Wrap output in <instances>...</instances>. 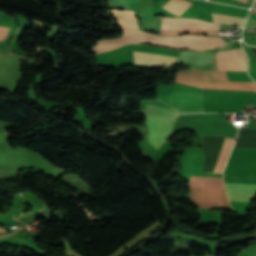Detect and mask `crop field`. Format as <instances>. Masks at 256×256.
<instances>
[{"instance_id": "412701ff", "label": "crop field", "mask_w": 256, "mask_h": 256, "mask_svg": "<svg viewBox=\"0 0 256 256\" xmlns=\"http://www.w3.org/2000/svg\"><path fill=\"white\" fill-rule=\"evenodd\" d=\"M170 106L184 112H203L202 92H179L168 94Z\"/></svg>"}, {"instance_id": "34b2d1b8", "label": "crop field", "mask_w": 256, "mask_h": 256, "mask_svg": "<svg viewBox=\"0 0 256 256\" xmlns=\"http://www.w3.org/2000/svg\"><path fill=\"white\" fill-rule=\"evenodd\" d=\"M134 112L146 115L145 123L149 130L147 140L156 149L160 147L165 142L177 115L158 114L148 111Z\"/></svg>"}, {"instance_id": "e52e79f7", "label": "crop field", "mask_w": 256, "mask_h": 256, "mask_svg": "<svg viewBox=\"0 0 256 256\" xmlns=\"http://www.w3.org/2000/svg\"><path fill=\"white\" fill-rule=\"evenodd\" d=\"M134 57H135V63L157 66V67L173 65L176 59V57L174 56L154 54V53H148V52H139V51H134Z\"/></svg>"}, {"instance_id": "f4fd0767", "label": "crop field", "mask_w": 256, "mask_h": 256, "mask_svg": "<svg viewBox=\"0 0 256 256\" xmlns=\"http://www.w3.org/2000/svg\"><path fill=\"white\" fill-rule=\"evenodd\" d=\"M120 28L123 32V36L120 39L97 41V45L91 50V52L101 53L122 46L124 44L141 43L144 34L143 32L123 26H120Z\"/></svg>"}, {"instance_id": "d8731c3e", "label": "crop field", "mask_w": 256, "mask_h": 256, "mask_svg": "<svg viewBox=\"0 0 256 256\" xmlns=\"http://www.w3.org/2000/svg\"><path fill=\"white\" fill-rule=\"evenodd\" d=\"M230 201H250L256 196V185L225 183Z\"/></svg>"}, {"instance_id": "dd49c442", "label": "crop field", "mask_w": 256, "mask_h": 256, "mask_svg": "<svg viewBox=\"0 0 256 256\" xmlns=\"http://www.w3.org/2000/svg\"><path fill=\"white\" fill-rule=\"evenodd\" d=\"M218 70L246 71L245 56L242 49L217 53ZM215 57V70H217Z\"/></svg>"}, {"instance_id": "d1516ede", "label": "crop field", "mask_w": 256, "mask_h": 256, "mask_svg": "<svg viewBox=\"0 0 256 256\" xmlns=\"http://www.w3.org/2000/svg\"><path fill=\"white\" fill-rule=\"evenodd\" d=\"M213 21L214 22H224V23H230V24H236V25H243L244 18L240 17H234V16H227V15H221V14H215L212 13Z\"/></svg>"}, {"instance_id": "d9b57169", "label": "crop field", "mask_w": 256, "mask_h": 256, "mask_svg": "<svg viewBox=\"0 0 256 256\" xmlns=\"http://www.w3.org/2000/svg\"><path fill=\"white\" fill-rule=\"evenodd\" d=\"M256 3V2H255Z\"/></svg>"}, {"instance_id": "ac0d7876", "label": "crop field", "mask_w": 256, "mask_h": 256, "mask_svg": "<svg viewBox=\"0 0 256 256\" xmlns=\"http://www.w3.org/2000/svg\"><path fill=\"white\" fill-rule=\"evenodd\" d=\"M162 34L177 35L183 32L199 34L218 33L219 24L206 23L201 20L182 18H162Z\"/></svg>"}, {"instance_id": "5a996713", "label": "crop field", "mask_w": 256, "mask_h": 256, "mask_svg": "<svg viewBox=\"0 0 256 256\" xmlns=\"http://www.w3.org/2000/svg\"><path fill=\"white\" fill-rule=\"evenodd\" d=\"M189 183V188L224 189L222 178L191 176Z\"/></svg>"}, {"instance_id": "3316defc", "label": "crop field", "mask_w": 256, "mask_h": 256, "mask_svg": "<svg viewBox=\"0 0 256 256\" xmlns=\"http://www.w3.org/2000/svg\"><path fill=\"white\" fill-rule=\"evenodd\" d=\"M228 138V137H226ZM234 139V138H230ZM226 139L224 142V145L222 147V150L220 152V155L218 157V160L216 162L215 171L214 173H222L226 159L228 157V154L231 150L232 144L234 140Z\"/></svg>"}, {"instance_id": "cbeb9de0", "label": "crop field", "mask_w": 256, "mask_h": 256, "mask_svg": "<svg viewBox=\"0 0 256 256\" xmlns=\"http://www.w3.org/2000/svg\"><path fill=\"white\" fill-rule=\"evenodd\" d=\"M239 1H242V2H244V3L246 2V0H239ZM251 1H252V0H248V1H247V4L250 5Z\"/></svg>"}, {"instance_id": "28ad6ade", "label": "crop field", "mask_w": 256, "mask_h": 256, "mask_svg": "<svg viewBox=\"0 0 256 256\" xmlns=\"http://www.w3.org/2000/svg\"><path fill=\"white\" fill-rule=\"evenodd\" d=\"M190 5L191 3L185 0H168L164 8L179 16Z\"/></svg>"}, {"instance_id": "5142ce71", "label": "crop field", "mask_w": 256, "mask_h": 256, "mask_svg": "<svg viewBox=\"0 0 256 256\" xmlns=\"http://www.w3.org/2000/svg\"><path fill=\"white\" fill-rule=\"evenodd\" d=\"M1 230H2V229H1ZM1 230H0V232H1ZM2 232H6V231H5V228H3V231H2Z\"/></svg>"}, {"instance_id": "22f410ed", "label": "crop field", "mask_w": 256, "mask_h": 256, "mask_svg": "<svg viewBox=\"0 0 256 256\" xmlns=\"http://www.w3.org/2000/svg\"><path fill=\"white\" fill-rule=\"evenodd\" d=\"M145 109L152 110V111H158V112H166V113H180L173 108H162V107L151 106V105H146Z\"/></svg>"}, {"instance_id": "8a807250", "label": "crop field", "mask_w": 256, "mask_h": 256, "mask_svg": "<svg viewBox=\"0 0 256 256\" xmlns=\"http://www.w3.org/2000/svg\"><path fill=\"white\" fill-rule=\"evenodd\" d=\"M175 81L206 89L256 91L255 82H228L225 71H206L192 68L180 71Z\"/></svg>"}]
</instances>
